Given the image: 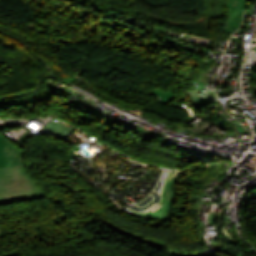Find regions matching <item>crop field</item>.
Here are the masks:
<instances>
[{"label":"crop field","instance_id":"crop-field-1","mask_svg":"<svg viewBox=\"0 0 256 256\" xmlns=\"http://www.w3.org/2000/svg\"><path fill=\"white\" fill-rule=\"evenodd\" d=\"M46 196L25 165L0 169V205Z\"/></svg>","mask_w":256,"mask_h":256},{"label":"crop field","instance_id":"crop-field-2","mask_svg":"<svg viewBox=\"0 0 256 256\" xmlns=\"http://www.w3.org/2000/svg\"><path fill=\"white\" fill-rule=\"evenodd\" d=\"M24 151L15 147L0 134V168L24 165Z\"/></svg>","mask_w":256,"mask_h":256},{"label":"crop field","instance_id":"crop-field-3","mask_svg":"<svg viewBox=\"0 0 256 256\" xmlns=\"http://www.w3.org/2000/svg\"><path fill=\"white\" fill-rule=\"evenodd\" d=\"M229 2V20L227 26L222 30L224 32H234L239 27L243 10L248 0H229Z\"/></svg>","mask_w":256,"mask_h":256}]
</instances>
